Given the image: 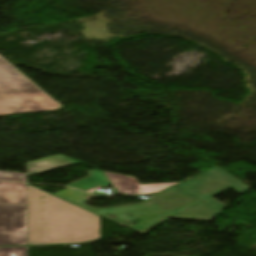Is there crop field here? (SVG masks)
I'll return each instance as SVG.
<instances>
[{"label": "crop field", "mask_w": 256, "mask_h": 256, "mask_svg": "<svg viewBox=\"0 0 256 256\" xmlns=\"http://www.w3.org/2000/svg\"><path fill=\"white\" fill-rule=\"evenodd\" d=\"M27 164V175L42 172L50 169L64 167L68 165L77 164L76 162L69 160L61 155L41 159L37 161L28 162Z\"/></svg>", "instance_id": "obj_9"}, {"label": "crop field", "mask_w": 256, "mask_h": 256, "mask_svg": "<svg viewBox=\"0 0 256 256\" xmlns=\"http://www.w3.org/2000/svg\"><path fill=\"white\" fill-rule=\"evenodd\" d=\"M10 253L15 256H27V247H0V256H10Z\"/></svg>", "instance_id": "obj_11"}, {"label": "crop field", "mask_w": 256, "mask_h": 256, "mask_svg": "<svg viewBox=\"0 0 256 256\" xmlns=\"http://www.w3.org/2000/svg\"><path fill=\"white\" fill-rule=\"evenodd\" d=\"M0 180L25 182L26 174L0 172Z\"/></svg>", "instance_id": "obj_12"}, {"label": "crop field", "mask_w": 256, "mask_h": 256, "mask_svg": "<svg viewBox=\"0 0 256 256\" xmlns=\"http://www.w3.org/2000/svg\"><path fill=\"white\" fill-rule=\"evenodd\" d=\"M221 211H218L211 206L200 203L197 204L171 218L173 219H184V220H203L211 221L215 218Z\"/></svg>", "instance_id": "obj_8"}, {"label": "crop field", "mask_w": 256, "mask_h": 256, "mask_svg": "<svg viewBox=\"0 0 256 256\" xmlns=\"http://www.w3.org/2000/svg\"><path fill=\"white\" fill-rule=\"evenodd\" d=\"M87 173L89 175L88 177L78 180L67 186H70L79 190L87 191L94 187L111 184L110 181L107 179V177L104 175V173L101 171L91 170V171H87Z\"/></svg>", "instance_id": "obj_10"}, {"label": "crop field", "mask_w": 256, "mask_h": 256, "mask_svg": "<svg viewBox=\"0 0 256 256\" xmlns=\"http://www.w3.org/2000/svg\"><path fill=\"white\" fill-rule=\"evenodd\" d=\"M105 174L107 175V177L110 179L112 184L120 193H124L128 195L157 193L175 184V183H164V184L140 185L135 178L113 174L109 172H105Z\"/></svg>", "instance_id": "obj_6"}, {"label": "crop field", "mask_w": 256, "mask_h": 256, "mask_svg": "<svg viewBox=\"0 0 256 256\" xmlns=\"http://www.w3.org/2000/svg\"><path fill=\"white\" fill-rule=\"evenodd\" d=\"M28 244L26 205L0 204V245Z\"/></svg>", "instance_id": "obj_5"}, {"label": "crop field", "mask_w": 256, "mask_h": 256, "mask_svg": "<svg viewBox=\"0 0 256 256\" xmlns=\"http://www.w3.org/2000/svg\"><path fill=\"white\" fill-rule=\"evenodd\" d=\"M29 244L100 239L99 216L27 184Z\"/></svg>", "instance_id": "obj_1"}, {"label": "crop field", "mask_w": 256, "mask_h": 256, "mask_svg": "<svg viewBox=\"0 0 256 256\" xmlns=\"http://www.w3.org/2000/svg\"><path fill=\"white\" fill-rule=\"evenodd\" d=\"M60 107L0 57V115Z\"/></svg>", "instance_id": "obj_3"}, {"label": "crop field", "mask_w": 256, "mask_h": 256, "mask_svg": "<svg viewBox=\"0 0 256 256\" xmlns=\"http://www.w3.org/2000/svg\"><path fill=\"white\" fill-rule=\"evenodd\" d=\"M63 200H66L70 203H73L77 206H80L84 209H87L91 212H94L98 215H101L117 224L120 222L113 220L103 213L114 214L117 216L116 219L120 220H132L131 218L126 215V212L140 215L139 220H142L139 224L135 225L134 227L125 225V227L140 232L161 218L165 216H171L183 209H186L198 202L199 200L193 198L192 196L184 193L183 191L173 187L141 204L136 205H128V206H121V207H113V208H106V209H98L93 210L85 205V202L88 201L86 198L88 193H84L81 191L73 190L70 188H66L60 192L53 194Z\"/></svg>", "instance_id": "obj_2"}, {"label": "crop field", "mask_w": 256, "mask_h": 256, "mask_svg": "<svg viewBox=\"0 0 256 256\" xmlns=\"http://www.w3.org/2000/svg\"><path fill=\"white\" fill-rule=\"evenodd\" d=\"M193 196L223 211L228 206L211 197L231 188L244 194L250 187L237 181L219 167H213L177 186Z\"/></svg>", "instance_id": "obj_4"}, {"label": "crop field", "mask_w": 256, "mask_h": 256, "mask_svg": "<svg viewBox=\"0 0 256 256\" xmlns=\"http://www.w3.org/2000/svg\"><path fill=\"white\" fill-rule=\"evenodd\" d=\"M0 203L26 204V184L0 183Z\"/></svg>", "instance_id": "obj_7"}]
</instances>
